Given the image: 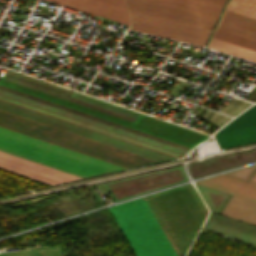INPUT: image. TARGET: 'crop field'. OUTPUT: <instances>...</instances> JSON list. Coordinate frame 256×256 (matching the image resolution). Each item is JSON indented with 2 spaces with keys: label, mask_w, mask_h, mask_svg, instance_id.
Returning <instances> with one entry per match:
<instances>
[{
  "label": "crop field",
  "mask_w": 256,
  "mask_h": 256,
  "mask_svg": "<svg viewBox=\"0 0 256 256\" xmlns=\"http://www.w3.org/2000/svg\"><path fill=\"white\" fill-rule=\"evenodd\" d=\"M179 256L208 210L192 184L145 197ZM144 197L109 207L136 256H178Z\"/></svg>",
  "instance_id": "8a807250"
},
{
  "label": "crop field",
  "mask_w": 256,
  "mask_h": 256,
  "mask_svg": "<svg viewBox=\"0 0 256 256\" xmlns=\"http://www.w3.org/2000/svg\"><path fill=\"white\" fill-rule=\"evenodd\" d=\"M132 29L203 46L219 13L125 0Z\"/></svg>",
  "instance_id": "ac0d7876"
},
{
  "label": "crop field",
  "mask_w": 256,
  "mask_h": 256,
  "mask_svg": "<svg viewBox=\"0 0 256 256\" xmlns=\"http://www.w3.org/2000/svg\"><path fill=\"white\" fill-rule=\"evenodd\" d=\"M0 150L82 177L125 169L2 127Z\"/></svg>",
  "instance_id": "34b2d1b8"
},
{
  "label": "crop field",
  "mask_w": 256,
  "mask_h": 256,
  "mask_svg": "<svg viewBox=\"0 0 256 256\" xmlns=\"http://www.w3.org/2000/svg\"><path fill=\"white\" fill-rule=\"evenodd\" d=\"M0 85L28 93L91 115H95L128 127H131L133 129L187 146V147H194L196 144L202 142L204 139H206L208 136L194 132L192 130L173 125L164 121H160L151 117L147 116H140L136 121L131 122L68 100H64L37 90H34L32 88L5 80L0 78Z\"/></svg>",
  "instance_id": "412701ff"
},
{
  "label": "crop field",
  "mask_w": 256,
  "mask_h": 256,
  "mask_svg": "<svg viewBox=\"0 0 256 256\" xmlns=\"http://www.w3.org/2000/svg\"><path fill=\"white\" fill-rule=\"evenodd\" d=\"M0 168L49 185L81 178L2 151H0Z\"/></svg>",
  "instance_id": "f4fd0767"
},
{
  "label": "crop field",
  "mask_w": 256,
  "mask_h": 256,
  "mask_svg": "<svg viewBox=\"0 0 256 256\" xmlns=\"http://www.w3.org/2000/svg\"><path fill=\"white\" fill-rule=\"evenodd\" d=\"M217 28L256 40V0H231Z\"/></svg>",
  "instance_id": "dd49c442"
},
{
  "label": "crop field",
  "mask_w": 256,
  "mask_h": 256,
  "mask_svg": "<svg viewBox=\"0 0 256 256\" xmlns=\"http://www.w3.org/2000/svg\"><path fill=\"white\" fill-rule=\"evenodd\" d=\"M93 16H101L129 25V14L122 0H47Z\"/></svg>",
  "instance_id": "e52e79f7"
},
{
  "label": "crop field",
  "mask_w": 256,
  "mask_h": 256,
  "mask_svg": "<svg viewBox=\"0 0 256 256\" xmlns=\"http://www.w3.org/2000/svg\"><path fill=\"white\" fill-rule=\"evenodd\" d=\"M195 183L256 201V184H252L224 174Z\"/></svg>",
  "instance_id": "d8731c3e"
},
{
  "label": "crop field",
  "mask_w": 256,
  "mask_h": 256,
  "mask_svg": "<svg viewBox=\"0 0 256 256\" xmlns=\"http://www.w3.org/2000/svg\"><path fill=\"white\" fill-rule=\"evenodd\" d=\"M0 99L4 100V101H7V102L17 104V105H20V106H23V107H26V108H29V109H32V110H35V111H38V112H41V113H44V114H47V115H50V116H53V117H57V118H60V119H63V120H66V121H69V122H72V123H75V124H78V125H80V123H81V121H78V120H75V119H72V118H68V117H65V116L50 112V111H46V110L31 106V105H28V104H24V103L12 100V99H10L8 97H5V96H2V95H0ZM81 126H84V127H87V128H90V129H93V130H96V131H99V132H102V133L120 138V139H123V140H126V141H129L131 143H134V144H137V145H140V146H143V147H146V148H149V149H152V150H155V151H158V152H161V153H164V154L176 157V158H180V157L183 156V155L165 150L163 148H160V147H157V146H154V145H151V144H148V143H145V142H142V141H139V140H136V139L118 134V133H114V132H111V131H108V130H105V129H102V128H99V127H96V126H93V125H90V124H87V123H84V122H82Z\"/></svg>",
  "instance_id": "5a996713"
},
{
  "label": "crop field",
  "mask_w": 256,
  "mask_h": 256,
  "mask_svg": "<svg viewBox=\"0 0 256 256\" xmlns=\"http://www.w3.org/2000/svg\"><path fill=\"white\" fill-rule=\"evenodd\" d=\"M222 215L256 225V202L231 195Z\"/></svg>",
  "instance_id": "3316defc"
},
{
  "label": "crop field",
  "mask_w": 256,
  "mask_h": 256,
  "mask_svg": "<svg viewBox=\"0 0 256 256\" xmlns=\"http://www.w3.org/2000/svg\"><path fill=\"white\" fill-rule=\"evenodd\" d=\"M220 149L256 142V125L214 134Z\"/></svg>",
  "instance_id": "28ad6ade"
},
{
  "label": "crop field",
  "mask_w": 256,
  "mask_h": 256,
  "mask_svg": "<svg viewBox=\"0 0 256 256\" xmlns=\"http://www.w3.org/2000/svg\"><path fill=\"white\" fill-rule=\"evenodd\" d=\"M220 12L225 0H142Z\"/></svg>",
  "instance_id": "d1516ede"
},
{
  "label": "crop field",
  "mask_w": 256,
  "mask_h": 256,
  "mask_svg": "<svg viewBox=\"0 0 256 256\" xmlns=\"http://www.w3.org/2000/svg\"><path fill=\"white\" fill-rule=\"evenodd\" d=\"M208 47L256 62V52L255 51H252V50H249V49H246L243 47H239V46H236V45L224 42V41H220V40L213 38Z\"/></svg>",
  "instance_id": "22f410ed"
},
{
  "label": "crop field",
  "mask_w": 256,
  "mask_h": 256,
  "mask_svg": "<svg viewBox=\"0 0 256 256\" xmlns=\"http://www.w3.org/2000/svg\"><path fill=\"white\" fill-rule=\"evenodd\" d=\"M256 124V104L248 108L219 132ZM218 133V132H217Z\"/></svg>",
  "instance_id": "cbeb9de0"
},
{
  "label": "crop field",
  "mask_w": 256,
  "mask_h": 256,
  "mask_svg": "<svg viewBox=\"0 0 256 256\" xmlns=\"http://www.w3.org/2000/svg\"><path fill=\"white\" fill-rule=\"evenodd\" d=\"M213 37L256 51V41H253V40H249V39H246L231 33H227L218 29L216 30Z\"/></svg>",
  "instance_id": "5142ce71"
},
{
  "label": "crop field",
  "mask_w": 256,
  "mask_h": 256,
  "mask_svg": "<svg viewBox=\"0 0 256 256\" xmlns=\"http://www.w3.org/2000/svg\"><path fill=\"white\" fill-rule=\"evenodd\" d=\"M250 182L256 183V172L253 174V176L249 180Z\"/></svg>",
  "instance_id": "d9b57169"
}]
</instances>
